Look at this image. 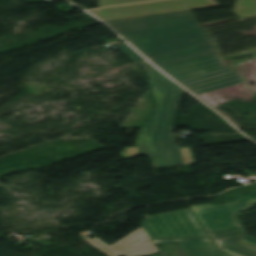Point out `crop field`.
<instances>
[{
	"mask_svg": "<svg viewBox=\"0 0 256 256\" xmlns=\"http://www.w3.org/2000/svg\"><path fill=\"white\" fill-rule=\"evenodd\" d=\"M140 65L151 78L157 109L141 129L137 147L124 148L121 157L148 155L155 168L195 164L189 147L177 148L172 126L182 88L148 63Z\"/></svg>",
	"mask_w": 256,
	"mask_h": 256,
	"instance_id": "crop-field-1",
	"label": "crop field"
},
{
	"mask_svg": "<svg viewBox=\"0 0 256 256\" xmlns=\"http://www.w3.org/2000/svg\"><path fill=\"white\" fill-rule=\"evenodd\" d=\"M107 23L149 59L212 43L190 11Z\"/></svg>",
	"mask_w": 256,
	"mask_h": 256,
	"instance_id": "crop-field-2",
	"label": "crop field"
},
{
	"mask_svg": "<svg viewBox=\"0 0 256 256\" xmlns=\"http://www.w3.org/2000/svg\"><path fill=\"white\" fill-rule=\"evenodd\" d=\"M161 70L195 94L242 82L235 70L223 68L217 54Z\"/></svg>",
	"mask_w": 256,
	"mask_h": 256,
	"instance_id": "crop-field-3",
	"label": "crop field"
},
{
	"mask_svg": "<svg viewBox=\"0 0 256 256\" xmlns=\"http://www.w3.org/2000/svg\"><path fill=\"white\" fill-rule=\"evenodd\" d=\"M142 226L151 239L207 236L190 209L146 217Z\"/></svg>",
	"mask_w": 256,
	"mask_h": 256,
	"instance_id": "crop-field-4",
	"label": "crop field"
},
{
	"mask_svg": "<svg viewBox=\"0 0 256 256\" xmlns=\"http://www.w3.org/2000/svg\"><path fill=\"white\" fill-rule=\"evenodd\" d=\"M220 5L215 0H165L91 11L104 21Z\"/></svg>",
	"mask_w": 256,
	"mask_h": 256,
	"instance_id": "crop-field-5",
	"label": "crop field"
},
{
	"mask_svg": "<svg viewBox=\"0 0 256 256\" xmlns=\"http://www.w3.org/2000/svg\"><path fill=\"white\" fill-rule=\"evenodd\" d=\"M256 203V190L248 197L239 198L236 201L213 206L210 204L191 206L207 231H213L233 226H238L234 215L240 211L247 210Z\"/></svg>",
	"mask_w": 256,
	"mask_h": 256,
	"instance_id": "crop-field-6",
	"label": "crop field"
},
{
	"mask_svg": "<svg viewBox=\"0 0 256 256\" xmlns=\"http://www.w3.org/2000/svg\"><path fill=\"white\" fill-rule=\"evenodd\" d=\"M207 233L230 256H256V239L246 235L241 226Z\"/></svg>",
	"mask_w": 256,
	"mask_h": 256,
	"instance_id": "crop-field-7",
	"label": "crop field"
},
{
	"mask_svg": "<svg viewBox=\"0 0 256 256\" xmlns=\"http://www.w3.org/2000/svg\"><path fill=\"white\" fill-rule=\"evenodd\" d=\"M155 245L141 227L102 251L108 256H149L160 252Z\"/></svg>",
	"mask_w": 256,
	"mask_h": 256,
	"instance_id": "crop-field-8",
	"label": "crop field"
},
{
	"mask_svg": "<svg viewBox=\"0 0 256 256\" xmlns=\"http://www.w3.org/2000/svg\"><path fill=\"white\" fill-rule=\"evenodd\" d=\"M158 244L180 243L181 250L188 256H227L216 249L209 237L153 240Z\"/></svg>",
	"mask_w": 256,
	"mask_h": 256,
	"instance_id": "crop-field-9",
	"label": "crop field"
},
{
	"mask_svg": "<svg viewBox=\"0 0 256 256\" xmlns=\"http://www.w3.org/2000/svg\"><path fill=\"white\" fill-rule=\"evenodd\" d=\"M233 11L241 18L256 16V0H236Z\"/></svg>",
	"mask_w": 256,
	"mask_h": 256,
	"instance_id": "crop-field-10",
	"label": "crop field"
},
{
	"mask_svg": "<svg viewBox=\"0 0 256 256\" xmlns=\"http://www.w3.org/2000/svg\"><path fill=\"white\" fill-rule=\"evenodd\" d=\"M216 53H218L217 48L207 50V51H203V52H199V53H195V54H191V55H187V56L172 59V60H168V61H164V62H160V63H156V65L159 68H163V67L175 65V64H178V63L186 62V61H189V60L201 58V57L216 54Z\"/></svg>",
	"mask_w": 256,
	"mask_h": 256,
	"instance_id": "crop-field-11",
	"label": "crop field"
},
{
	"mask_svg": "<svg viewBox=\"0 0 256 256\" xmlns=\"http://www.w3.org/2000/svg\"><path fill=\"white\" fill-rule=\"evenodd\" d=\"M211 48H215L214 43L208 44V45H204V46H200V47L193 48V49H189V50H185V51H182V52L166 55V56H163V57L151 59V61L156 63V62H160V61H164V60H168V59L184 56V55H187V54H191V53H195V52H199V51H203V50H207V49H211Z\"/></svg>",
	"mask_w": 256,
	"mask_h": 256,
	"instance_id": "crop-field-12",
	"label": "crop field"
},
{
	"mask_svg": "<svg viewBox=\"0 0 256 256\" xmlns=\"http://www.w3.org/2000/svg\"><path fill=\"white\" fill-rule=\"evenodd\" d=\"M116 46L118 48H120L125 54H127L135 62H139V61L145 60L137 52H135L130 46H128L126 43L119 44V45H116Z\"/></svg>",
	"mask_w": 256,
	"mask_h": 256,
	"instance_id": "crop-field-13",
	"label": "crop field"
},
{
	"mask_svg": "<svg viewBox=\"0 0 256 256\" xmlns=\"http://www.w3.org/2000/svg\"><path fill=\"white\" fill-rule=\"evenodd\" d=\"M139 1H147V0H99V7L117 5V4H124V3L139 2Z\"/></svg>",
	"mask_w": 256,
	"mask_h": 256,
	"instance_id": "crop-field-14",
	"label": "crop field"
}]
</instances>
